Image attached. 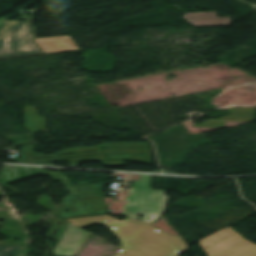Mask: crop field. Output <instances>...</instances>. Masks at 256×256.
Returning <instances> with one entry per match:
<instances>
[{"label":"crop field","instance_id":"crop-field-7","mask_svg":"<svg viewBox=\"0 0 256 256\" xmlns=\"http://www.w3.org/2000/svg\"><path fill=\"white\" fill-rule=\"evenodd\" d=\"M183 18L195 26L230 25L229 17L216 18L215 12L184 14Z\"/></svg>","mask_w":256,"mask_h":256},{"label":"crop field","instance_id":"crop-field-1","mask_svg":"<svg viewBox=\"0 0 256 256\" xmlns=\"http://www.w3.org/2000/svg\"><path fill=\"white\" fill-rule=\"evenodd\" d=\"M122 242V251L114 256H177L189 248L179 236L174 237L139 220L127 218L105 223Z\"/></svg>","mask_w":256,"mask_h":256},{"label":"crop field","instance_id":"crop-field-12","mask_svg":"<svg viewBox=\"0 0 256 256\" xmlns=\"http://www.w3.org/2000/svg\"><path fill=\"white\" fill-rule=\"evenodd\" d=\"M14 20H6L2 25H0V33L13 22Z\"/></svg>","mask_w":256,"mask_h":256},{"label":"crop field","instance_id":"crop-field-10","mask_svg":"<svg viewBox=\"0 0 256 256\" xmlns=\"http://www.w3.org/2000/svg\"><path fill=\"white\" fill-rule=\"evenodd\" d=\"M110 219H114V218H112L108 215H104V216H97V217L79 218V219L68 220V221L81 227V226H85V225H89V224H98V223L105 222Z\"/></svg>","mask_w":256,"mask_h":256},{"label":"crop field","instance_id":"crop-field-4","mask_svg":"<svg viewBox=\"0 0 256 256\" xmlns=\"http://www.w3.org/2000/svg\"><path fill=\"white\" fill-rule=\"evenodd\" d=\"M198 243L208 256H256V245L245 240L227 226Z\"/></svg>","mask_w":256,"mask_h":256},{"label":"crop field","instance_id":"crop-field-9","mask_svg":"<svg viewBox=\"0 0 256 256\" xmlns=\"http://www.w3.org/2000/svg\"><path fill=\"white\" fill-rule=\"evenodd\" d=\"M21 150H22V152H21L20 158L18 160V163H26L24 157H26L28 163L35 164V165H45V166H53V165L52 164H37V163L55 162V161L61 160L59 157L35 160V158L53 157V156H58V155L55 154V155L43 156L41 153H34L33 145H25L21 148ZM33 154H38L39 156L33 157Z\"/></svg>","mask_w":256,"mask_h":256},{"label":"crop field","instance_id":"crop-field-11","mask_svg":"<svg viewBox=\"0 0 256 256\" xmlns=\"http://www.w3.org/2000/svg\"><path fill=\"white\" fill-rule=\"evenodd\" d=\"M21 247L2 246L0 245V256H13Z\"/></svg>","mask_w":256,"mask_h":256},{"label":"crop field","instance_id":"crop-field-8","mask_svg":"<svg viewBox=\"0 0 256 256\" xmlns=\"http://www.w3.org/2000/svg\"><path fill=\"white\" fill-rule=\"evenodd\" d=\"M36 107L25 106V129L29 131L46 130L45 117H38Z\"/></svg>","mask_w":256,"mask_h":256},{"label":"crop field","instance_id":"crop-field-6","mask_svg":"<svg viewBox=\"0 0 256 256\" xmlns=\"http://www.w3.org/2000/svg\"><path fill=\"white\" fill-rule=\"evenodd\" d=\"M72 39V38H71ZM69 36L36 39L46 54L79 50Z\"/></svg>","mask_w":256,"mask_h":256},{"label":"crop field","instance_id":"crop-field-3","mask_svg":"<svg viewBox=\"0 0 256 256\" xmlns=\"http://www.w3.org/2000/svg\"><path fill=\"white\" fill-rule=\"evenodd\" d=\"M37 10H32L26 21H17L0 36V59L44 53L32 39L37 33V28L31 26Z\"/></svg>","mask_w":256,"mask_h":256},{"label":"crop field","instance_id":"crop-field-2","mask_svg":"<svg viewBox=\"0 0 256 256\" xmlns=\"http://www.w3.org/2000/svg\"><path fill=\"white\" fill-rule=\"evenodd\" d=\"M150 184L151 176L146 175H141V182H134L123 216L137 219L141 214L142 221L152 223L162 215L168 197L164 191L150 190Z\"/></svg>","mask_w":256,"mask_h":256},{"label":"crop field","instance_id":"crop-field-5","mask_svg":"<svg viewBox=\"0 0 256 256\" xmlns=\"http://www.w3.org/2000/svg\"><path fill=\"white\" fill-rule=\"evenodd\" d=\"M89 232L71 224L65 231L55 250V256H72L79 251Z\"/></svg>","mask_w":256,"mask_h":256}]
</instances>
